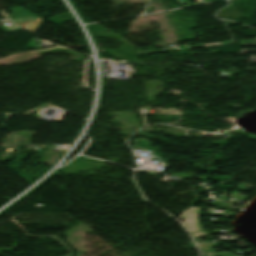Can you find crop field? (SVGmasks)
<instances>
[{
    "instance_id": "obj_1",
    "label": "crop field",
    "mask_w": 256,
    "mask_h": 256,
    "mask_svg": "<svg viewBox=\"0 0 256 256\" xmlns=\"http://www.w3.org/2000/svg\"><path fill=\"white\" fill-rule=\"evenodd\" d=\"M200 208H192L182 215L184 220L183 224L186 229L193 235L196 242L199 237L206 236L207 234L201 229L198 221V212ZM200 240V239H199ZM202 241V240H201ZM203 242V241H202Z\"/></svg>"
},
{
    "instance_id": "obj_2",
    "label": "crop field",
    "mask_w": 256,
    "mask_h": 256,
    "mask_svg": "<svg viewBox=\"0 0 256 256\" xmlns=\"http://www.w3.org/2000/svg\"><path fill=\"white\" fill-rule=\"evenodd\" d=\"M197 246L199 247V249L201 250L202 253L206 254V256H237V255H235L233 253H229L227 251L212 254L211 253L212 248L217 247L218 243L201 244V245H197Z\"/></svg>"
},
{
    "instance_id": "obj_3",
    "label": "crop field",
    "mask_w": 256,
    "mask_h": 256,
    "mask_svg": "<svg viewBox=\"0 0 256 256\" xmlns=\"http://www.w3.org/2000/svg\"><path fill=\"white\" fill-rule=\"evenodd\" d=\"M187 244H188V246L190 247V249L196 250L192 242H189V243H187Z\"/></svg>"
}]
</instances>
